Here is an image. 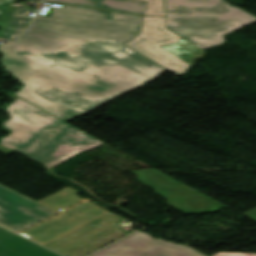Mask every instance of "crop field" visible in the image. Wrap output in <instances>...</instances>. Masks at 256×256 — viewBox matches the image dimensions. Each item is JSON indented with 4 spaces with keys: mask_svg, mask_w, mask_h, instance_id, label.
<instances>
[{
    "mask_svg": "<svg viewBox=\"0 0 256 256\" xmlns=\"http://www.w3.org/2000/svg\"><path fill=\"white\" fill-rule=\"evenodd\" d=\"M91 256H205L186 245L172 244L137 231Z\"/></svg>",
    "mask_w": 256,
    "mask_h": 256,
    "instance_id": "e52e79f7",
    "label": "crop field"
},
{
    "mask_svg": "<svg viewBox=\"0 0 256 256\" xmlns=\"http://www.w3.org/2000/svg\"><path fill=\"white\" fill-rule=\"evenodd\" d=\"M185 63L192 65L195 59L201 58L203 56L204 51L200 50L196 46L188 43L182 37L177 44L174 46H162L157 45Z\"/></svg>",
    "mask_w": 256,
    "mask_h": 256,
    "instance_id": "22f410ed",
    "label": "crop field"
},
{
    "mask_svg": "<svg viewBox=\"0 0 256 256\" xmlns=\"http://www.w3.org/2000/svg\"><path fill=\"white\" fill-rule=\"evenodd\" d=\"M55 213L0 185V225L18 232Z\"/></svg>",
    "mask_w": 256,
    "mask_h": 256,
    "instance_id": "5a996713",
    "label": "crop field"
},
{
    "mask_svg": "<svg viewBox=\"0 0 256 256\" xmlns=\"http://www.w3.org/2000/svg\"><path fill=\"white\" fill-rule=\"evenodd\" d=\"M143 1H147L144 15L165 16V0Z\"/></svg>",
    "mask_w": 256,
    "mask_h": 256,
    "instance_id": "5142ce71",
    "label": "crop field"
},
{
    "mask_svg": "<svg viewBox=\"0 0 256 256\" xmlns=\"http://www.w3.org/2000/svg\"><path fill=\"white\" fill-rule=\"evenodd\" d=\"M214 256H242L238 253H224V252H219L215 254ZM256 256V255H255Z\"/></svg>",
    "mask_w": 256,
    "mask_h": 256,
    "instance_id": "733c2abd",
    "label": "crop field"
},
{
    "mask_svg": "<svg viewBox=\"0 0 256 256\" xmlns=\"http://www.w3.org/2000/svg\"><path fill=\"white\" fill-rule=\"evenodd\" d=\"M121 220L123 218L109 212L45 246L66 256H84L124 236L126 232L116 225Z\"/></svg>",
    "mask_w": 256,
    "mask_h": 256,
    "instance_id": "412701ff",
    "label": "crop field"
},
{
    "mask_svg": "<svg viewBox=\"0 0 256 256\" xmlns=\"http://www.w3.org/2000/svg\"><path fill=\"white\" fill-rule=\"evenodd\" d=\"M13 2V0H0V4H4V3H10ZM4 14L3 12L0 11V15Z\"/></svg>",
    "mask_w": 256,
    "mask_h": 256,
    "instance_id": "4a817a6b",
    "label": "crop field"
},
{
    "mask_svg": "<svg viewBox=\"0 0 256 256\" xmlns=\"http://www.w3.org/2000/svg\"><path fill=\"white\" fill-rule=\"evenodd\" d=\"M3 94L15 98L6 109L10 118L4 124L12 134L0 139V152L8 156L16 151L51 168L104 143L9 93Z\"/></svg>",
    "mask_w": 256,
    "mask_h": 256,
    "instance_id": "ac0d7876",
    "label": "crop field"
},
{
    "mask_svg": "<svg viewBox=\"0 0 256 256\" xmlns=\"http://www.w3.org/2000/svg\"><path fill=\"white\" fill-rule=\"evenodd\" d=\"M52 10L51 18L36 16L20 40L0 46V63L24 86L14 93L21 99L68 122L165 70L123 45L143 17L68 5Z\"/></svg>",
    "mask_w": 256,
    "mask_h": 256,
    "instance_id": "8a807250",
    "label": "crop field"
},
{
    "mask_svg": "<svg viewBox=\"0 0 256 256\" xmlns=\"http://www.w3.org/2000/svg\"><path fill=\"white\" fill-rule=\"evenodd\" d=\"M0 256H60L0 227Z\"/></svg>",
    "mask_w": 256,
    "mask_h": 256,
    "instance_id": "3316defc",
    "label": "crop field"
},
{
    "mask_svg": "<svg viewBox=\"0 0 256 256\" xmlns=\"http://www.w3.org/2000/svg\"><path fill=\"white\" fill-rule=\"evenodd\" d=\"M105 213L107 211L85 201L21 233V235L44 245Z\"/></svg>",
    "mask_w": 256,
    "mask_h": 256,
    "instance_id": "d8731c3e",
    "label": "crop field"
},
{
    "mask_svg": "<svg viewBox=\"0 0 256 256\" xmlns=\"http://www.w3.org/2000/svg\"><path fill=\"white\" fill-rule=\"evenodd\" d=\"M137 181L157 191L167 199L168 205L186 213L217 211L224 205L154 171H135Z\"/></svg>",
    "mask_w": 256,
    "mask_h": 256,
    "instance_id": "dd49c442",
    "label": "crop field"
},
{
    "mask_svg": "<svg viewBox=\"0 0 256 256\" xmlns=\"http://www.w3.org/2000/svg\"><path fill=\"white\" fill-rule=\"evenodd\" d=\"M179 39L180 36L165 28V18L144 17L139 34L124 45L179 76L189 65L154 45H174Z\"/></svg>",
    "mask_w": 256,
    "mask_h": 256,
    "instance_id": "f4fd0767",
    "label": "crop field"
},
{
    "mask_svg": "<svg viewBox=\"0 0 256 256\" xmlns=\"http://www.w3.org/2000/svg\"><path fill=\"white\" fill-rule=\"evenodd\" d=\"M11 12L10 16L0 18V37L13 41L28 27L31 17H28L31 9L6 6Z\"/></svg>",
    "mask_w": 256,
    "mask_h": 256,
    "instance_id": "28ad6ade",
    "label": "crop field"
},
{
    "mask_svg": "<svg viewBox=\"0 0 256 256\" xmlns=\"http://www.w3.org/2000/svg\"><path fill=\"white\" fill-rule=\"evenodd\" d=\"M242 254V253H241ZM243 255H245V256H252V254H243Z\"/></svg>",
    "mask_w": 256,
    "mask_h": 256,
    "instance_id": "bc2a9ffb",
    "label": "crop field"
},
{
    "mask_svg": "<svg viewBox=\"0 0 256 256\" xmlns=\"http://www.w3.org/2000/svg\"><path fill=\"white\" fill-rule=\"evenodd\" d=\"M243 215L252 219V220H254L256 222V208L247 212V213H245V214H243Z\"/></svg>",
    "mask_w": 256,
    "mask_h": 256,
    "instance_id": "d9b57169",
    "label": "crop field"
},
{
    "mask_svg": "<svg viewBox=\"0 0 256 256\" xmlns=\"http://www.w3.org/2000/svg\"><path fill=\"white\" fill-rule=\"evenodd\" d=\"M77 193L79 192L72 188H66L38 202L59 212L66 207L82 200L80 197L76 196Z\"/></svg>",
    "mask_w": 256,
    "mask_h": 256,
    "instance_id": "cbeb9de0",
    "label": "crop field"
},
{
    "mask_svg": "<svg viewBox=\"0 0 256 256\" xmlns=\"http://www.w3.org/2000/svg\"><path fill=\"white\" fill-rule=\"evenodd\" d=\"M143 14L146 2L135 0H46Z\"/></svg>",
    "mask_w": 256,
    "mask_h": 256,
    "instance_id": "d1516ede",
    "label": "crop field"
},
{
    "mask_svg": "<svg viewBox=\"0 0 256 256\" xmlns=\"http://www.w3.org/2000/svg\"><path fill=\"white\" fill-rule=\"evenodd\" d=\"M256 17L224 0H166V28L205 49L224 43L221 36L245 27Z\"/></svg>",
    "mask_w": 256,
    "mask_h": 256,
    "instance_id": "34b2d1b8",
    "label": "crop field"
}]
</instances>
